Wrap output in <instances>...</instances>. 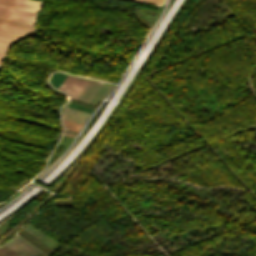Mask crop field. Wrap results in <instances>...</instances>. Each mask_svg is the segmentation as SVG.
Segmentation results:
<instances>
[{
    "label": "crop field",
    "instance_id": "crop-field-1",
    "mask_svg": "<svg viewBox=\"0 0 256 256\" xmlns=\"http://www.w3.org/2000/svg\"><path fill=\"white\" fill-rule=\"evenodd\" d=\"M42 4L29 0H0V16L35 23Z\"/></svg>",
    "mask_w": 256,
    "mask_h": 256
},
{
    "label": "crop field",
    "instance_id": "crop-field-2",
    "mask_svg": "<svg viewBox=\"0 0 256 256\" xmlns=\"http://www.w3.org/2000/svg\"><path fill=\"white\" fill-rule=\"evenodd\" d=\"M82 81V79L68 76L59 89L66 91L70 96H72ZM112 87V85L89 81L84 90L78 96V99L97 104L99 100H102L108 94Z\"/></svg>",
    "mask_w": 256,
    "mask_h": 256
},
{
    "label": "crop field",
    "instance_id": "crop-field-3",
    "mask_svg": "<svg viewBox=\"0 0 256 256\" xmlns=\"http://www.w3.org/2000/svg\"><path fill=\"white\" fill-rule=\"evenodd\" d=\"M32 33L34 32L0 24V61L11 43Z\"/></svg>",
    "mask_w": 256,
    "mask_h": 256
},
{
    "label": "crop field",
    "instance_id": "crop-field-4",
    "mask_svg": "<svg viewBox=\"0 0 256 256\" xmlns=\"http://www.w3.org/2000/svg\"><path fill=\"white\" fill-rule=\"evenodd\" d=\"M89 113L78 111L72 108L66 107L63 111V116L65 119L77 121L83 123L84 120L88 117Z\"/></svg>",
    "mask_w": 256,
    "mask_h": 256
},
{
    "label": "crop field",
    "instance_id": "crop-field-5",
    "mask_svg": "<svg viewBox=\"0 0 256 256\" xmlns=\"http://www.w3.org/2000/svg\"><path fill=\"white\" fill-rule=\"evenodd\" d=\"M0 23L9 25V26H13V27L27 29V30H32V31L35 30V28H34L35 24H33V23L12 20V19L2 18V17H0Z\"/></svg>",
    "mask_w": 256,
    "mask_h": 256
},
{
    "label": "crop field",
    "instance_id": "crop-field-6",
    "mask_svg": "<svg viewBox=\"0 0 256 256\" xmlns=\"http://www.w3.org/2000/svg\"><path fill=\"white\" fill-rule=\"evenodd\" d=\"M68 107H72V108L79 109L89 113H91L92 109L94 108L93 106H89V105H85V104H81L73 101H71L68 104Z\"/></svg>",
    "mask_w": 256,
    "mask_h": 256
},
{
    "label": "crop field",
    "instance_id": "crop-field-7",
    "mask_svg": "<svg viewBox=\"0 0 256 256\" xmlns=\"http://www.w3.org/2000/svg\"><path fill=\"white\" fill-rule=\"evenodd\" d=\"M66 77H67V75H64L61 73H55L52 78V84L58 88Z\"/></svg>",
    "mask_w": 256,
    "mask_h": 256
},
{
    "label": "crop field",
    "instance_id": "crop-field-8",
    "mask_svg": "<svg viewBox=\"0 0 256 256\" xmlns=\"http://www.w3.org/2000/svg\"><path fill=\"white\" fill-rule=\"evenodd\" d=\"M134 1H139V2H144V3H150V4H161L163 3L164 0H134Z\"/></svg>",
    "mask_w": 256,
    "mask_h": 256
}]
</instances>
